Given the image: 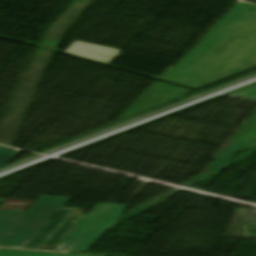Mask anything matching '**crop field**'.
I'll use <instances>...</instances> for the list:
<instances>
[{
    "instance_id": "crop-field-1",
    "label": "crop field",
    "mask_w": 256,
    "mask_h": 256,
    "mask_svg": "<svg viewBox=\"0 0 256 256\" xmlns=\"http://www.w3.org/2000/svg\"><path fill=\"white\" fill-rule=\"evenodd\" d=\"M255 10L254 14L247 12ZM256 66V6L240 2L160 78L197 87Z\"/></svg>"
},
{
    "instance_id": "crop-field-2",
    "label": "crop field",
    "mask_w": 256,
    "mask_h": 256,
    "mask_svg": "<svg viewBox=\"0 0 256 256\" xmlns=\"http://www.w3.org/2000/svg\"><path fill=\"white\" fill-rule=\"evenodd\" d=\"M71 199L42 195L0 237V247L24 248Z\"/></svg>"
},
{
    "instance_id": "crop-field-3",
    "label": "crop field",
    "mask_w": 256,
    "mask_h": 256,
    "mask_svg": "<svg viewBox=\"0 0 256 256\" xmlns=\"http://www.w3.org/2000/svg\"><path fill=\"white\" fill-rule=\"evenodd\" d=\"M129 206L97 204L96 207L61 242L57 251L86 253L95 241L126 211ZM98 211L97 213H92Z\"/></svg>"
},
{
    "instance_id": "crop-field-4",
    "label": "crop field",
    "mask_w": 256,
    "mask_h": 256,
    "mask_svg": "<svg viewBox=\"0 0 256 256\" xmlns=\"http://www.w3.org/2000/svg\"><path fill=\"white\" fill-rule=\"evenodd\" d=\"M81 212L80 208L64 207L25 248L39 250L42 245L58 246L78 224L73 220L85 217Z\"/></svg>"
},
{
    "instance_id": "crop-field-5",
    "label": "crop field",
    "mask_w": 256,
    "mask_h": 256,
    "mask_svg": "<svg viewBox=\"0 0 256 256\" xmlns=\"http://www.w3.org/2000/svg\"><path fill=\"white\" fill-rule=\"evenodd\" d=\"M256 148V113L234 136L226 147L209 163L200 174L204 176L221 175L226 164L232 159L231 155L244 150Z\"/></svg>"
},
{
    "instance_id": "crop-field-6",
    "label": "crop field",
    "mask_w": 256,
    "mask_h": 256,
    "mask_svg": "<svg viewBox=\"0 0 256 256\" xmlns=\"http://www.w3.org/2000/svg\"><path fill=\"white\" fill-rule=\"evenodd\" d=\"M190 90L155 81L119 118V120L133 114L159 106L168 101L186 95Z\"/></svg>"
},
{
    "instance_id": "crop-field-7",
    "label": "crop field",
    "mask_w": 256,
    "mask_h": 256,
    "mask_svg": "<svg viewBox=\"0 0 256 256\" xmlns=\"http://www.w3.org/2000/svg\"><path fill=\"white\" fill-rule=\"evenodd\" d=\"M65 52L85 56L111 65L121 50L75 41Z\"/></svg>"
},
{
    "instance_id": "crop-field-8",
    "label": "crop field",
    "mask_w": 256,
    "mask_h": 256,
    "mask_svg": "<svg viewBox=\"0 0 256 256\" xmlns=\"http://www.w3.org/2000/svg\"><path fill=\"white\" fill-rule=\"evenodd\" d=\"M23 211L0 210V236L23 214Z\"/></svg>"
},
{
    "instance_id": "crop-field-9",
    "label": "crop field",
    "mask_w": 256,
    "mask_h": 256,
    "mask_svg": "<svg viewBox=\"0 0 256 256\" xmlns=\"http://www.w3.org/2000/svg\"><path fill=\"white\" fill-rule=\"evenodd\" d=\"M35 201H29V200H15V199H7L5 200L2 205L0 206V209L4 210H27L31 204H33Z\"/></svg>"
},
{
    "instance_id": "crop-field-10",
    "label": "crop field",
    "mask_w": 256,
    "mask_h": 256,
    "mask_svg": "<svg viewBox=\"0 0 256 256\" xmlns=\"http://www.w3.org/2000/svg\"><path fill=\"white\" fill-rule=\"evenodd\" d=\"M0 256H61V254L0 249Z\"/></svg>"
},
{
    "instance_id": "crop-field-11",
    "label": "crop field",
    "mask_w": 256,
    "mask_h": 256,
    "mask_svg": "<svg viewBox=\"0 0 256 256\" xmlns=\"http://www.w3.org/2000/svg\"><path fill=\"white\" fill-rule=\"evenodd\" d=\"M20 151L0 147V167L10 162Z\"/></svg>"
},
{
    "instance_id": "crop-field-12",
    "label": "crop field",
    "mask_w": 256,
    "mask_h": 256,
    "mask_svg": "<svg viewBox=\"0 0 256 256\" xmlns=\"http://www.w3.org/2000/svg\"><path fill=\"white\" fill-rule=\"evenodd\" d=\"M231 94L256 100V85L244 88Z\"/></svg>"
},
{
    "instance_id": "crop-field-13",
    "label": "crop field",
    "mask_w": 256,
    "mask_h": 256,
    "mask_svg": "<svg viewBox=\"0 0 256 256\" xmlns=\"http://www.w3.org/2000/svg\"><path fill=\"white\" fill-rule=\"evenodd\" d=\"M63 256H79V255H69V254H63Z\"/></svg>"
},
{
    "instance_id": "crop-field-14",
    "label": "crop field",
    "mask_w": 256,
    "mask_h": 256,
    "mask_svg": "<svg viewBox=\"0 0 256 256\" xmlns=\"http://www.w3.org/2000/svg\"><path fill=\"white\" fill-rule=\"evenodd\" d=\"M3 201H4L3 199H0V204H1Z\"/></svg>"
}]
</instances>
